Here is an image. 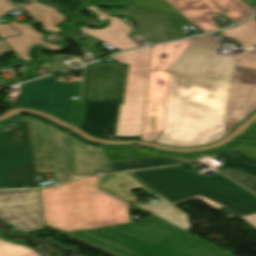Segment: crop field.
Segmentation results:
<instances>
[{
  "label": "crop field",
  "mask_w": 256,
  "mask_h": 256,
  "mask_svg": "<svg viewBox=\"0 0 256 256\" xmlns=\"http://www.w3.org/2000/svg\"><path fill=\"white\" fill-rule=\"evenodd\" d=\"M103 148L106 152L107 158L110 162L113 161H121V160H128L124 156V147H117V146H106L103 145ZM135 158H144V157H154V156H167V155H161V154H155V153H149L141 150H135L134 153ZM182 158H193L196 157V155H188V154H181ZM173 157V156H169ZM179 158V157H175Z\"/></svg>",
  "instance_id": "dafd665d"
},
{
  "label": "crop field",
  "mask_w": 256,
  "mask_h": 256,
  "mask_svg": "<svg viewBox=\"0 0 256 256\" xmlns=\"http://www.w3.org/2000/svg\"><path fill=\"white\" fill-rule=\"evenodd\" d=\"M129 65L101 62L88 65L84 81V101L123 103Z\"/></svg>",
  "instance_id": "3316defc"
},
{
  "label": "crop field",
  "mask_w": 256,
  "mask_h": 256,
  "mask_svg": "<svg viewBox=\"0 0 256 256\" xmlns=\"http://www.w3.org/2000/svg\"><path fill=\"white\" fill-rule=\"evenodd\" d=\"M11 24L22 33L19 37L7 38L4 41L17 53L22 60L30 61L28 50L31 45H37L42 42L43 34L36 32L26 23L11 22Z\"/></svg>",
  "instance_id": "4a817a6b"
},
{
  "label": "crop field",
  "mask_w": 256,
  "mask_h": 256,
  "mask_svg": "<svg viewBox=\"0 0 256 256\" xmlns=\"http://www.w3.org/2000/svg\"><path fill=\"white\" fill-rule=\"evenodd\" d=\"M87 9L91 12H96L100 17L99 20L104 23L105 18L111 20V25L102 30H90L81 27L82 31L90 35L100 38L103 42L122 51L138 46L127 35L132 31L122 20L117 17H109L99 10L96 6H88Z\"/></svg>",
  "instance_id": "5142ce71"
},
{
  "label": "crop field",
  "mask_w": 256,
  "mask_h": 256,
  "mask_svg": "<svg viewBox=\"0 0 256 256\" xmlns=\"http://www.w3.org/2000/svg\"><path fill=\"white\" fill-rule=\"evenodd\" d=\"M153 196L160 198V200L152 204H142L138 201L132 203L186 231L191 229L188 216L185 213L160 195Z\"/></svg>",
  "instance_id": "d9b57169"
},
{
  "label": "crop field",
  "mask_w": 256,
  "mask_h": 256,
  "mask_svg": "<svg viewBox=\"0 0 256 256\" xmlns=\"http://www.w3.org/2000/svg\"><path fill=\"white\" fill-rule=\"evenodd\" d=\"M49 3L60 4L71 12L82 16L80 12H78L79 4L82 2L81 0H42Z\"/></svg>",
  "instance_id": "730fd06b"
},
{
  "label": "crop field",
  "mask_w": 256,
  "mask_h": 256,
  "mask_svg": "<svg viewBox=\"0 0 256 256\" xmlns=\"http://www.w3.org/2000/svg\"><path fill=\"white\" fill-rule=\"evenodd\" d=\"M240 219L256 230V214L240 217Z\"/></svg>",
  "instance_id": "eef30255"
},
{
  "label": "crop field",
  "mask_w": 256,
  "mask_h": 256,
  "mask_svg": "<svg viewBox=\"0 0 256 256\" xmlns=\"http://www.w3.org/2000/svg\"><path fill=\"white\" fill-rule=\"evenodd\" d=\"M248 5H250L254 10H256V0H244Z\"/></svg>",
  "instance_id": "bd1437ed"
},
{
  "label": "crop field",
  "mask_w": 256,
  "mask_h": 256,
  "mask_svg": "<svg viewBox=\"0 0 256 256\" xmlns=\"http://www.w3.org/2000/svg\"><path fill=\"white\" fill-rule=\"evenodd\" d=\"M216 33L196 38L167 70L173 72L164 133L171 146L208 144L256 109V70L235 67L233 56H217Z\"/></svg>",
  "instance_id": "8a807250"
},
{
  "label": "crop field",
  "mask_w": 256,
  "mask_h": 256,
  "mask_svg": "<svg viewBox=\"0 0 256 256\" xmlns=\"http://www.w3.org/2000/svg\"><path fill=\"white\" fill-rule=\"evenodd\" d=\"M152 47L127 52L114 60L130 64L116 136L141 135Z\"/></svg>",
  "instance_id": "e52e79f7"
},
{
  "label": "crop field",
  "mask_w": 256,
  "mask_h": 256,
  "mask_svg": "<svg viewBox=\"0 0 256 256\" xmlns=\"http://www.w3.org/2000/svg\"><path fill=\"white\" fill-rule=\"evenodd\" d=\"M193 40L153 47L142 140L155 142L156 138L163 133L166 116L164 105L172 75L166 70Z\"/></svg>",
  "instance_id": "dd49c442"
},
{
  "label": "crop field",
  "mask_w": 256,
  "mask_h": 256,
  "mask_svg": "<svg viewBox=\"0 0 256 256\" xmlns=\"http://www.w3.org/2000/svg\"><path fill=\"white\" fill-rule=\"evenodd\" d=\"M55 76L23 84L18 106L48 111L67 122H74L81 82H55Z\"/></svg>",
  "instance_id": "d8731c3e"
},
{
  "label": "crop field",
  "mask_w": 256,
  "mask_h": 256,
  "mask_svg": "<svg viewBox=\"0 0 256 256\" xmlns=\"http://www.w3.org/2000/svg\"><path fill=\"white\" fill-rule=\"evenodd\" d=\"M191 160L192 159H175V158H169V157H155V158H145V159L113 162L110 164L112 167V171L116 172V171L132 170V169L163 166V165H174V164L191 161Z\"/></svg>",
  "instance_id": "bc2a9ffb"
},
{
  "label": "crop field",
  "mask_w": 256,
  "mask_h": 256,
  "mask_svg": "<svg viewBox=\"0 0 256 256\" xmlns=\"http://www.w3.org/2000/svg\"><path fill=\"white\" fill-rule=\"evenodd\" d=\"M35 182L29 120L19 114L0 128V189Z\"/></svg>",
  "instance_id": "f4fd0767"
},
{
  "label": "crop field",
  "mask_w": 256,
  "mask_h": 256,
  "mask_svg": "<svg viewBox=\"0 0 256 256\" xmlns=\"http://www.w3.org/2000/svg\"><path fill=\"white\" fill-rule=\"evenodd\" d=\"M174 205L201 199L241 216L256 212V196L217 173L208 177L182 166L131 173Z\"/></svg>",
  "instance_id": "34b2d1b8"
},
{
  "label": "crop field",
  "mask_w": 256,
  "mask_h": 256,
  "mask_svg": "<svg viewBox=\"0 0 256 256\" xmlns=\"http://www.w3.org/2000/svg\"><path fill=\"white\" fill-rule=\"evenodd\" d=\"M11 1L18 6V5L22 4L23 2H25L27 0H11Z\"/></svg>",
  "instance_id": "1d83c4d3"
},
{
  "label": "crop field",
  "mask_w": 256,
  "mask_h": 256,
  "mask_svg": "<svg viewBox=\"0 0 256 256\" xmlns=\"http://www.w3.org/2000/svg\"><path fill=\"white\" fill-rule=\"evenodd\" d=\"M243 134L247 135V136H253L254 139H256V123L253 124L246 132H244Z\"/></svg>",
  "instance_id": "ae1a2a85"
},
{
  "label": "crop field",
  "mask_w": 256,
  "mask_h": 256,
  "mask_svg": "<svg viewBox=\"0 0 256 256\" xmlns=\"http://www.w3.org/2000/svg\"><path fill=\"white\" fill-rule=\"evenodd\" d=\"M21 8L27 11L34 19L41 22L47 29L61 23L65 18V16L60 14L56 8L46 6L38 2L28 6L23 5Z\"/></svg>",
  "instance_id": "214f88e0"
},
{
  "label": "crop field",
  "mask_w": 256,
  "mask_h": 256,
  "mask_svg": "<svg viewBox=\"0 0 256 256\" xmlns=\"http://www.w3.org/2000/svg\"><path fill=\"white\" fill-rule=\"evenodd\" d=\"M82 72H83V68L78 69V71H76L77 75L82 77Z\"/></svg>",
  "instance_id": "120bbe31"
},
{
  "label": "crop field",
  "mask_w": 256,
  "mask_h": 256,
  "mask_svg": "<svg viewBox=\"0 0 256 256\" xmlns=\"http://www.w3.org/2000/svg\"><path fill=\"white\" fill-rule=\"evenodd\" d=\"M256 17L232 29L221 31L228 39H235L242 47L256 45Z\"/></svg>",
  "instance_id": "92a150f3"
},
{
  "label": "crop field",
  "mask_w": 256,
  "mask_h": 256,
  "mask_svg": "<svg viewBox=\"0 0 256 256\" xmlns=\"http://www.w3.org/2000/svg\"><path fill=\"white\" fill-rule=\"evenodd\" d=\"M135 5L128 11H111L135 18L141 35L151 44L184 38L181 27L192 24L164 0H135Z\"/></svg>",
  "instance_id": "5a996713"
},
{
  "label": "crop field",
  "mask_w": 256,
  "mask_h": 256,
  "mask_svg": "<svg viewBox=\"0 0 256 256\" xmlns=\"http://www.w3.org/2000/svg\"><path fill=\"white\" fill-rule=\"evenodd\" d=\"M0 217L20 232L43 229L39 190L0 193Z\"/></svg>",
  "instance_id": "d1516ede"
},
{
  "label": "crop field",
  "mask_w": 256,
  "mask_h": 256,
  "mask_svg": "<svg viewBox=\"0 0 256 256\" xmlns=\"http://www.w3.org/2000/svg\"><path fill=\"white\" fill-rule=\"evenodd\" d=\"M204 33L218 29L211 16L223 12L235 22L254 13L241 0H166Z\"/></svg>",
  "instance_id": "28ad6ade"
},
{
  "label": "crop field",
  "mask_w": 256,
  "mask_h": 256,
  "mask_svg": "<svg viewBox=\"0 0 256 256\" xmlns=\"http://www.w3.org/2000/svg\"><path fill=\"white\" fill-rule=\"evenodd\" d=\"M120 104L108 102H80L76 124L88 133L105 139L116 135Z\"/></svg>",
  "instance_id": "22f410ed"
},
{
  "label": "crop field",
  "mask_w": 256,
  "mask_h": 256,
  "mask_svg": "<svg viewBox=\"0 0 256 256\" xmlns=\"http://www.w3.org/2000/svg\"><path fill=\"white\" fill-rule=\"evenodd\" d=\"M239 144H242L241 142H237V141H234V142H232V143H230L229 145H227L226 147H230V148H234L235 146H237V145H239ZM250 145H252V144H250ZM231 150V149H230ZM226 151H228V150H226ZM204 155H212V154H204Z\"/></svg>",
  "instance_id": "750c4746"
},
{
  "label": "crop field",
  "mask_w": 256,
  "mask_h": 256,
  "mask_svg": "<svg viewBox=\"0 0 256 256\" xmlns=\"http://www.w3.org/2000/svg\"><path fill=\"white\" fill-rule=\"evenodd\" d=\"M10 49L3 40L0 41V55L10 52Z\"/></svg>",
  "instance_id": "d3111659"
},
{
  "label": "crop field",
  "mask_w": 256,
  "mask_h": 256,
  "mask_svg": "<svg viewBox=\"0 0 256 256\" xmlns=\"http://www.w3.org/2000/svg\"><path fill=\"white\" fill-rule=\"evenodd\" d=\"M109 176H110V175H107V176L102 177V180H101L100 184H101L104 180H106ZM100 184H99V185H100Z\"/></svg>",
  "instance_id": "d32e631a"
},
{
  "label": "crop field",
  "mask_w": 256,
  "mask_h": 256,
  "mask_svg": "<svg viewBox=\"0 0 256 256\" xmlns=\"http://www.w3.org/2000/svg\"><path fill=\"white\" fill-rule=\"evenodd\" d=\"M14 8L7 0H0V15L5 14L8 10ZM18 35V33L11 28L8 24L0 25V37L5 38L9 36Z\"/></svg>",
  "instance_id": "a9b5d70f"
},
{
  "label": "crop field",
  "mask_w": 256,
  "mask_h": 256,
  "mask_svg": "<svg viewBox=\"0 0 256 256\" xmlns=\"http://www.w3.org/2000/svg\"><path fill=\"white\" fill-rule=\"evenodd\" d=\"M86 177L40 190L44 225L115 256H235L155 216L130 222L127 204Z\"/></svg>",
  "instance_id": "ac0d7876"
},
{
  "label": "crop field",
  "mask_w": 256,
  "mask_h": 256,
  "mask_svg": "<svg viewBox=\"0 0 256 256\" xmlns=\"http://www.w3.org/2000/svg\"><path fill=\"white\" fill-rule=\"evenodd\" d=\"M213 156L224 160L216 167L218 170L256 192V147L242 144L232 151L220 152Z\"/></svg>",
  "instance_id": "cbeb9de0"
},
{
  "label": "crop field",
  "mask_w": 256,
  "mask_h": 256,
  "mask_svg": "<svg viewBox=\"0 0 256 256\" xmlns=\"http://www.w3.org/2000/svg\"><path fill=\"white\" fill-rule=\"evenodd\" d=\"M8 242L0 237V256H40L28 247Z\"/></svg>",
  "instance_id": "00972430"
},
{
  "label": "crop field",
  "mask_w": 256,
  "mask_h": 256,
  "mask_svg": "<svg viewBox=\"0 0 256 256\" xmlns=\"http://www.w3.org/2000/svg\"><path fill=\"white\" fill-rule=\"evenodd\" d=\"M32 129L36 169L39 173H54L58 183L77 175L110 173L103 149L90 147L51 126L29 118Z\"/></svg>",
  "instance_id": "412701ff"
},
{
  "label": "crop field",
  "mask_w": 256,
  "mask_h": 256,
  "mask_svg": "<svg viewBox=\"0 0 256 256\" xmlns=\"http://www.w3.org/2000/svg\"><path fill=\"white\" fill-rule=\"evenodd\" d=\"M99 187L127 202H132L139 199L130 193V191L134 188H140L150 195L153 194L152 191L143 186L127 173L111 175Z\"/></svg>",
  "instance_id": "733c2abd"
},
{
  "label": "crop field",
  "mask_w": 256,
  "mask_h": 256,
  "mask_svg": "<svg viewBox=\"0 0 256 256\" xmlns=\"http://www.w3.org/2000/svg\"><path fill=\"white\" fill-rule=\"evenodd\" d=\"M237 66L256 69V54L245 51L236 56Z\"/></svg>",
  "instance_id": "4177f3b9"
}]
</instances>
